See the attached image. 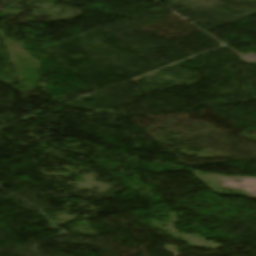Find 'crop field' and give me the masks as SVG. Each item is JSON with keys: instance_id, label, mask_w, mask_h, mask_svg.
I'll list each match as a JSON object with an SVG mask.
<instances>
[{"instance_id": "1", "label": "crop field", "mask_w": 256, "mask_h": 256, "mask_svg": "<svg viewBox=\"0 0 256 256\" xmlns=\"http://www.w3.org/2000/svg\"><path fill=\"white\" fill-rule=\"evenodd\" d=\"M204 183L219 193L256 197V178H232L200 175L193 172Z\"/></svg>"}]
</instances>
